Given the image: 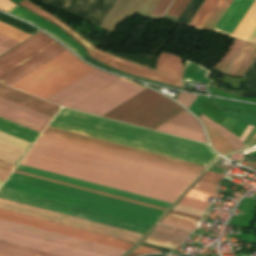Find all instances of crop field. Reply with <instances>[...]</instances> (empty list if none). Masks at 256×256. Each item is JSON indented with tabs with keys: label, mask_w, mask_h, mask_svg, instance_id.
Instances as JSON below:
<instances>
[{
	"label": "crop field",
	"mask_w": 256,
	"mask_h": 256,
	"mask_svg": "<svg viewBox=\"0 0 256 256\" xmlns=\"http://www.w3.org/2000/svg\"><path fill=\"white\" fill-rule=\"evenodd\" d=\"M49 127L206 166L217 157L207 145L62 108Z\"/></svg>",
	"instance_id": "8a807250"
},
{
	"label": "crop field",
	"mask_w": 256,
	"mask_h": 256,
	"mask_svg": "<svg viewBox=\"0 0 256 256\" xmlns=\"http://www.w3.org/2000/svg\"><path fill=\"white\" fill-rule=\"evenodd\" d=\"M0 198L44 208L47 210L91 220L94 222L130 230V231H134L142 234H144L147 231V229L151 226V225L123 219L120 217L92 211L89 209L65 204L62 202L34 196L31 194H27V193L15 191V190L3 188V187H1L0 189ZM4 199H0L1 209L17 212L20 214L44 219L47 221L75 227L78 229L102 234L105 236L129 241L133 243H136L143 236L142 234L94 223L91 221L47 211L44 209L12 202Z\"/></svg>",
	"instance_id": "ac0d7876"
},
{
	"label": "crop field",
	"mask_w": 256,
	"mask_h": 256,
	"mask_svg": "<svg viewBox=\"0 0 256 256\" xmlns=\"http://www.w3.org/2000/svg\"><path fill=\"white\" fill-rule=\"evenodd\" d=\"M27 156L182 194L190 181L36 142Z\"/></svg>",
	"instance_id": "34b2d1b8"
},
{
	"label": "crop field",
	"mask_w": 256,
	"mask_h": 256,
	"mask_svg": "<svg viewBox=\"0 0 256 256\" xmlns=\"http://www.w3.org/2000/svg\"><path fill=\"white\" fill-rule=\"evenodd\" d=\"M45 35L40 32L0 57L1 83L10 86L67 51Z\"/></svg>",
	"instance_id": "412701ff"
},
{
	"label": "crop field",
	"mask_w": 256,
	"mask_h": 256,
	"mask_svg": "<svg viewBox=\"0 0 256 256\" xmlns=\"http://www.w3.org/2000/svg\"><path fill=\"white\" fill-rule=\"evenodd\" d=\"M93 69L67 51L11 87L45 99Z\"/></svg>",
	"instance_id": "f4fd0767"
},
{
	"label": "crop field",
	"mask_w": 256,
	"mask_h": 256,
	"mask_svg": "<svg viewBox=\"0 0 256 256\" xmlns=\"http://www.w3.org/2000/svg\"><path fill=\"white\" fill-rule=\"evenodd\" d=\"M182 111L178 104L146 89L103 117L154 129Z\"/></svg>",
	"instance_id": "dd49c442"
},
{
	"label": "crop field",
	"mask_w": 256,
	"mask_h": 256,
	"mask_svg": "<svg viewBox=\"0 0 256 256\" xmlns=\"http://www.w3.org/2000/svg\"><path fill=\"white\" fill-rule=\"evenodd\" d=\"M21 165L167 201L180 195L25 156Z\"/></svg>",
	"instance_id": "e52e79f7"
},
{
	"label": "crop field",
	"mask_w": 256,
	"mask_h": 256,
	"mask_svg": "<svg viewBox=\"0 0 256 256\" xmlns=\"http://www.w3.org/2000/svg\"><path fill=\"white\" fill-rule=\"evenodd\" d=\"M38 142L66 148L69 150L97 156L100 158L128 164L131 166L159 172L162 174H166V175H170V176H174V177H178V178H182L190 181H192L198 175V173L150 162L147 160L95 148L92 146H88V145H84V144H80V143H76V142H72V141H68V140H64V139H60V138H56V137H52L44 134L40 136V138L38 139Z\"/></svg>",
	"instance_id": "d8731c3e"
},
{
	"label": "crop field",
	"mask_w": 256,
	"mask_h": 256,
	"mask_svg": "<svg viewBox=\"0 0 256 256\" xmlns=\"http://www.w3.org/2000/svg\"><path fill=\"white\" fill-rule=\"evenodd\" d=\"M29 10L37 13L38 15L48 19L49 21L61 26L64 30H66L71 36H73L78 42H80L87 50L88 54L109 66H112L120 71L127 72L138 77L174 85L181 87V81L176 80L174 78L168 77L166 75L157 73L155 71L149 70L147 68L141 67L139 65L130 63L128 61L122 60L120 58L114 57L112 55L106 54L94 48L91 44H89L86 40L80 37L77 33H75L72 29L68 26L60 22L58 19L53 17L52 15L48 14L47 12L43 11L42 9L38 8L37 6L33 5L32 3L28 2L27 0H23L18 3Z\"/></svg>",
	"instance_id": "5a996713"
},
{
	"label": "crop field",
	"mask_w": 256,
	"mask_h": 256,
	"mask_svg": "<svg viewBox=\"0 0 256 256\" xmlns=\"http://www.w3.org/2000/svg\"><path fill=\"white\" fill-rule=\"evenodd\" d=\"M8 180L33 186V187H37V188H41V189H45V190H49V191H53V192H57V193H61V194H65V195H69V196H73V197H77V198H81V199H85V200H89V201H93V202H97V203H101V204H105V205H109V206H113V207H117V208H121V209H125V210H129V211H133V212H137V213H141V214H145V215H149V216H153V217H157V218H159L163 213V211L132 204L129 202L117 200L114 198L98 195L95 193L83 191L80 189L64 186L61 184L49 182L46 180L30 177V176L15 173V172L12 173V175L9 177Z\"/></svg>",
	"instance_id": "3316defc"
},
{
	"label": "crop field",
	"mask_w": 256,
	"mask_h": 256,
	"mask_svg": "<svg viewBox=\"0 0 256 256\" xmlns=\"http://www.w3.org/2000/svg\"><path fill=\"white\" fill-rule=\"evenodd\" d=\"M144 89L146 88L121 78L72 109L101 116Z\"/></svg>",
	"instance_id": "28ad6ade"
},
{
	"label": "crop field",
	"mask_w": 256,
	"mask_h": 256,
	"mask_svg": "<svg viewBox=\"0 0 256 256\" xmlns=\"http://www.w3.org/2000/svg\"><path fill=\"white\" fill-rule=\"evenodd\" d=\"M119 78L95 69L46 100L71 108Z\"/></svg>",
	"instance_id": "d1516ede"
},
{
	"label": "crop field",
	"mask_w": 256,
	"mask_h": 256,
	"mask_svg": "<svg viewBox=\"0 0 256 256\" xmlns=\"http://www.w3.org/2000/svg\"><path fill=\"white\" fill-rule=\"evenodd\" d=\"M44 134H48V135H52V136H56V137H60V138L88 144V145H92L95 147H99V148L131 155V156L147 159L150 161H154V162H158V163H162V164H166V165H170V166H174V167H178V168H182V169H186V170H190V171H194V172H198V173H200L202 171V169L204 168V166H200V165H196V164H192V163H188V162H184V161H180V160H176V159H172V158H168V157H164V156H160V155H156V154H152V153H148V152H144V151H140V150H136V149H132V148H128L125 146H121V145H117V144H113V143L77 135V134H73V133H69V132H65V131H61V130H57V129H53V128H49V127H47V129L44 131Z\"/></svg>",
	"instance_id": "22f410ed"
},
{
	"label": "crop field",
	"mask_w": 256,
	"mask_h": 256,
	"mask_svg": "<svg viewBox=\"0 0 256 256\" xmlns=\"http://www.w3.org/2000/svg\"><path fill=\"white\" fill-rule=\"evenodd\" d=\"M0 228L16 231L19 233L35 236L38 238L54 241L57 243L73 246L76 248L96 252V253L107 255V256H122L127 252L126 250L54 233L51 231H47V230L19 224V223H15V222L3 220V219H0Z\"/></svg>",
	"instance_id": "cbeb9de0"
},
{
	"label": "crop field",
	"mask_w": 256,
	"mask_h": 256,
	"mask_svg": "<svg viewBox=\"0 0 256 256\" xmlns=\"http://www.w3.org/2000/svg\"><path fill=\"white\" fill-rule=\"evenodd\" d=\"M17 169H21V170H25V171H29V172H33V173L53 177V178H56V179H60V180H64V181H68V182H72V183L92 187V188H95V189H99V190H103V191H107V192L127 196V197H130V198H134V199H138V200H142V201H146V202H150V203H154V204H158V205H162V206H166V207H168L170 205V203H166V202H162V201H158V200H154V199L134 195V194H131V193H127V192H123V191H119V190H115V189L95 185V184H92V183H88V182H84V181H80V180H76V179H72V178H68V177H64V176H60V175H57V174H53V173H49V172H45V171H41V170H37V169L25 167V166H21V165H19L17 167ZM17 169H15V172H19V173L27 174V175H30V176L46 179V180H49V181L61 183V184H64V185L80 188V189H83V190L95 192V193H98V194L114 197V198H117V199L129 201V202H132V203L148 206V207L163 210V211L166 209V207H162V206H158V205H154V204H150V203L130 199V198H127V197H123V196H119V195H115V194H111V193L91 189V188H88V187H84V186H80V185H76V184H72V183H68V182H64V181H60V180H56V179H53V178H49V177H45V176H41V175L29 173V172L17 170Z\"/></svg>",
	"instance_id": "5142ce71"
},
{
	"label": "crop field",
	"mask_w": 256,
	"mask_h": 256,
	"mask_svg": "<svg viewBox=\"0 0 256 256\" xmlns=\"http://www.w3.org/2000/svg\"><path fill=\"white\" fill-rule=\"evenodd\" d=\"M0 218L128 250L133 243L47 222L0 209Z\"/></svg>",
	"instance_id": "d9b57169"
},
{
	"label": "crop field",
	"mask_w": 256,
	"mask_h": 256,
	"mask_svg": "<svg viewBox=\"0 0 256 256\" xmlns=\"http://www.w3.org/2000/svg\"><path fill=\"white\" fill-rule=\"evenodd\" d=\"M3 187L31 193L34 195L62 201L65 203L89 208L92 210L120 216L123 218L131 219V220H135V221H139V222H143V223H147V224H151V225H153L154 222L157 220L156 218H152V217H148V216H144V215H140V214H136V213H132V212H128V211H124V210H120V209H116V208H112V207H108V206H104V205H100V204H96V203H92V202H88V201H84V200H80V199H76V198H72V197H68V196H64V195H60V194H56V193H52V192L24 186V185L12 183V182H8V181L5 182Z\"/></svg>",
	"instance_id": "733c2abd"
},
{
	"label": "crop field",
	"mask_w": 256,
	"mask_h": 256,
	"mask_svg": "<svg viewBox=\"0 0 256 256\" xmlns=\"http://www.w3.org/2000/svg\"><path fill=\"white\" fill-rule=\"evenodd\" d=\"M0 240L61 256H103L4 229H0Z\"/></svg>",
	"instance_id": "4a817a6b"
},
{
	"label": "crop field",
	"mask_w": 256,
	"mask_h": 256,
	"mask_svg": "<svg viewBox=\"0 0 256 256\" xmlns=\"http://www.w3.org/2000/svg\"><path fill=\"white\" fill-rule=\"evenodd\" d=\"M0 117L40 133L51 120V117L49 116L43 115L1 98Z\"/></svg>",
	"instance_id": "bc2a9ffb"
},
{
	"label": "crop field",
	"mask_w": 256,
	"mask_h": 256,
	"mask_svg": "<svg viewBox=\"0 0 256 256\" xmlns=\"http://www.w3.org/2000/svg\"><path fill=\"white\" fill-rule=\"evenodd\" d=\"M160 0H118L111 10L101 28L112 32L115 25L136 12L150 17Z\"/></svg>",
	"instance_id": "214f88e0"
},
{
	"label": "crop field",
	"mask_w": 256,
	"mask_h": 256,
	"mask_svg": "<svg viewBox=\"0 0 256 256\" xmlns=\"http://www.w3.org/2000/svg\"><path fill=\"white\" fill-rule=\"evenodd\" d=\"M200 119L204 123V125H206L210 129H212L219 135L223 136L224 138L228 139L235 151L244 147L243 144L241 143V141L239 140V138L237 136H235L234 134L230 133L229 131L222 128L221 126L214 123L213 121H211L210 119L206 118L203 115L200 116ZM206 126H205V128L207 130L210 142H211L212 146L214 147V149L218 153L224 154V153L233 152V149L228 140L219 136L218 134H216L215 132H213L212 130L207 128Z\"/></svg>",
	"instance_id": "92a150f3"
},
{
	"label": "crop field",
	"mask_w": 256,
	"mask_h": 256,
	"mask_svg": "<svg viewBox=\"0 0 256 256\" xmlns=\"http://www.w3.org/2000/svg\"><path fill=\"white\" fill-rule=\"evenodd\" d=\"M0 97L51 117H53L60 108L56 105L50 104L1 84Z\"/></svg>",
	"instance_id": "dafd665d"
},
{
	"label": "crop field",
	"mask_w": 256,
	"mask_h": 256,
	"mask_svg": "<svg viewBox=\"0 0 256 256\" xmlns=\"http://www.w3.org/2000/svg\"><path fill=\"white\" fill-rule=\"evenodd\" d=\"M9 12L18 17L26 19L29 22L45 29L50 34H52L54 37L58 38L59 40L63 41L65 44H67L70 48H72L81 57L85 56L83 49L78 44H76L73 40H71L68 36H66L63 32H61L58 28H56L52 24L38 18L37 16L27 12L26 10H24L18 6L14 7Z\"/></svg>",
	"instance_id": "00972430"
},
{
	"label": "crop field",
	"mask_w": 256,
	"mask_h": 256,
	"mask_svg": "<svg viewBox=\"0 0 256 256\" xmlns=\"http://www.w3.org/2000/svg\"><path fill=\"white\" fill-rule=\"evenodd\" d=\"M253 2L254 0H234L215 29L232 33Z\"/></svg>",
	"instance_id": "a9b5d70f"
},
{
	"label": "crop field",
	"mask_w": 256,
	"mask_h": 256,
	"mask_svg": "<svg viewBox=\"0 0 256 256\" xmlns=\"http://www.w3.org/2000/svg\"><path fill=\"white\" fill-rule=\"evenodd\" d=\"M256 57V44L248 43L237 56L236 60L227 72L228 75L243 77Z\"/></svg>",
	"instance_id": "4177f3b9"
},
{
	"label": "crop field",
	"mask_w": 256,
	"mask_h": 256,
	"mask_svg": "<svg viewBox=\"0 0 256 256\" xmlns=\"http://www.w3.org/2000/svg\"><path fill=\"white\" fill-rule=\"evenodd\" d=\"M156 70L181 79L183 59L175 54L162 51L158 57Z\"/></svg>",
	"instance_id": "730fd06b"
},
{
	"label": "crop field",
	"mask_w": 256,
	"mask_h": 256,
	"mask_svg": "<svg viewBox=\"0 0 256 256\" xmlns=\"http://www.w3.org/2000/svg\"><path fill=\"white\" fill-rule=\"evenodd\" d=\"M26 128L0 118V131L33 143L35 139L39 136L40 132L37 133Z\"/></svg>",
	"instance_id": "eef30255"
},
{
	"label": "crop field",
	"mask_w": 256,
	"mask_h": 256,
	"mask_svg": "<svg viewBox=\"0 0 256 256\" xmlns=\"http://www.w3.org/2000/svg\"><path fill=\"white\" fill-rule=\"evenodd\" d=\"M209 73L210 71L202 68L201 65L187 60L184 81L195 83L201 82L209 85L213 82V80L206 77Z\"/></svg>",
	"instance_id": "ae1a2a85"
},
{
	"label": "crop field",
	"mask_w": 256,
	"mask_h": 256,
	"mask_svg": "<svg viewBox=\"0 0 256 256\" xmlns=\"http://www.w3.org/2000/svg\"><path fill=\"white\" fill-rule=\"evenodd\" d=\"M256 27V1L247 12L232 36L247 40L253 29ZM255 30V29H254Z\"/></svg>",
	"instance_id": "d3111659"
},
{
	"label": "crop field",
	"mask_w": 256,
	"mask_h": 256,
	"mask_svg": "<svg viewBox=\"0 0 256 256\" xmlns=\"http://www.w3.org/2000/svg\"><path fill=\"white\" fill-rule=\"evenodd\" d=\"M0 256H57L0 241Z\"/></svg>",
	"instance_id": "750c4746"
},
{
	"label": "crop field",
	"mask_w": 256,
	"mask_h": 256,
	"mask_svg": "<svg viewBox=\"0 0 256 256\" xmlns=\"http://www.w3.org/2000/svg\"><path fill=\"white\" fill-rule=\"evenodd\" d=\"M245 44V41L234 39L231 45L229 46L228 50L222 57V59L217 63V65L214 67V69L226 74L229 67L235 60L236 56L242 49L243 45Z\"/></svg>",
	"instance_id": "bd1437ed"
},
{
	"label": "crop field",
	"mask_w": 256,
	"mask_h": 256,
	"mask_svg": "<svg viewBox=\"0 0 256 256\" xmlns=\"http://www.w3.org/2000/svg\"><path fill=\"white\" fill-rule=\"evenodd\" d=\"M155 130H159V131H163V132H167V133H171L174 135H178V136H182V137H186L189 139L207 143L205 140L204 133L201 131L184 128V127H180V126H176V125H172V124H168V123H165V124L159 126Z\"/></svg>",
	"instance_id": "1d83c4d3"
},
{
	"label": "crop field",
	"mask_w": 256,
	"mask_h": 256,
	"mask_svg": "<svg viewBox=\"0 0 256 256\" xmlns=\"http://www.w3.org/2000/svg\"><path fill=\"white\" fill-rule=\"evenodd\" d=\"M188 234L190 233L157 225L149 236L181 244Z\"/></svg>",
	"instance_id": "120bbe31"
},
{
	"label": "crop field",
	"mask_w": 256,
	"mask_h": 256,
	"mask_svg": "<svg viewBox=\"0 0 256 256\" xmlns=\"http://www.w3.org/2000/svg\"><path fill=\"white\" fill-rule=\"evenodd\" d=\"M218 2L219 0H205L189 22V25L201 28Z\"/></svg>",
	"instance_id": "d32e631a"
},
{
	"label": "crop field",
	"mask_w": 256,
	"mask_h": 256,
	"mask_svg": "<svg viewBox=\"0 0 256 256\" xmlns=\"http://www.w3.org/2000/svg\"><path fill=\"white\" fill-rule=\"evenodd\" d=\"M231 2L232 0H221L217 7L212 12V14L209 16L205 24L202 26V29L212 30L217 24V22L220 20V18L222 17V15L224 14V12L226 11Z\"/></svg>",
	"instance_id": "5866460e"
},
{
	"label": "crop field",
	"mask_w": 256,
	"mask_h": 256,
	"mask_svg": "<svg viewBox=\"0 0 256 256\" xmlns=\"http://www.w3.org/2000/svg\"><path fill=\"white\" fill-rule=\"evenodd\" d=\"M168 123H172V124L185 126V127L203 131L201 126L199 125L197 119L192 117L189 113H187L185 111L182 112L181 114L177 115L173 119L169 120Z\"/></svg>",
	"instance_id": "028f5c9d"
},
{
	"label": "crop field",
	"mask_w": 256,
	"mask_h": 256,
	"mask_svg": "<svg viewBox=\"0 0 256 256\" xmlns=\"http://www.w3.org/2000/svg\"><path fill=\"white\" fill-rule=\"evenodd\" d=\"M204 0H191L185 11L182 13L180 18L178 19V22L186 23L190 21V19L193 17L199 6L202 4Z\"/></svg>",
	"instance_id": "e1f06a70"
},
{
	"label": "crop field",
	"mask_w": 256,
	"mask_h": 256,
	"mask_svg": "<svg viewBox=\"0 0 256 256\" xmlns=\"http://www.w3.org/2000/svg\"><path fill=\"white\" fill-rule=\"evenodd\" d=\"M0 32L4 33L20 42L30 36L22 31L15 29V28H13L7 24H4L2 22H0Z\"/></svg>",
	"instance_id": "0bd39190"
},
{
	"label": "crop field",
	"mask_w": 256,
	"mask_h": 256,
	"mask_svg": "<svg viewBox=\"0 0 256 256\" xmlns=\"http://www.w3.org/2000/svg\"><path fill=\"white\" fill-rule=\"evenodd\" d=\"M164 220L173 222V223H177V224L194 227V228H195L196 221H197L195 219H191V218H187V217H183V216H179V215H175V214H171V213H168L167 216L164 218Z\"/></svg>",
	"instance_id": "b80d0937"
},
{
	"label": "crop field",
	"mask_w": 256,
	"mask_h": 256,
	"mask_svg": "<svg viewBox=\"0 0 256 256\" xmlns=\"http://www.w3.org/2000/svg\"><path fill=\"white\" fill-rule=\"evenodd\" d=\"M178 204L188 206V207L198 208L202 210H205L210 205L209 203H204V202L196 201V200L185 198V197H183V199Z\"/></svg>",
	"instance_id": "c035e120"
},
{
	"label": "crop field",
	"mask_w": 256,
	"mask_h": 256,
	"mask_svg": "<svg viewBox=\"0 0 256 256\" xmlns=\"http://www.w3.org/2000/svg\"><path fill=\"white\" fill-rule=\"evenodd\" d=\"M14 168L15 165L0 160V181L4 182Z\"/></svg>",
	"instance_id": "c21b1889"
},
{
	"label": "crop field",
	"mask_w": 256,
	"mask_h": 256,
	"mask_svg": "<svg viewBox=\"0 0 256 256\" xmlns=\"http://www.w3.org/2000/svg\"><path fill=\"white\" fill-rule=\"evenodd\" d=\"M144 243L156 245V246L171 249V250L179 246L178 244H174V243H170V242H166V241H162V240H158L150 237H147Z\"/></svg>",
	"instance_id": "03da06ac"
},
{
	"label": "crop field",
	"mask_w": 256,
	"mask_h": 256,
	"mask_svg": "<svg viewBox=\"0 0 256 256\" xmlns=\"http://www.w3.org/2000/svg\"><path fill=\"white\" fill-rule=\"evenodd\" d=\"M244 77V76H243ZM245 77H248V87L256 88V59L252 63Z\"/></svg>",
	"instance_id": "b54c1fbb"
},
{
	"label": "crop field",
	"mask_w": 256,
	"mask_h": 256,
	"mask_svg": "<svg viewBox=\"0 0 256 256\" xmlns=\"http://www.w3.org/2000/svg\"><path fill=\"white\" fill-rule=\"evenodd\" d=\"M192 188L201 190V191L214 193V194L217 193V185L206 183V182L198 181Z\"/></svg>",
	"instance_id": "5d738f31"
},
{
	"label": "crop field",
	"mask_w": 256,
	"mask_h": 256,
	"mask_svg": "<svg viewBox=\"0 0 256 256\" xmlns=\"http://www.w3.org/2000/svg\"><path fill=\"white\" fill-rule=\"evenodd\" d=\"M196 98V95L180 92L176 100L189 109Z\"/></svg>",
	"instance_id": "d23c7cc5"
},
{
	"label": "crop field",
	"mask_w": 256,
	"mask_h": 256,
	"mask_svg": "<svg viewBox=\"0 0 256 256\" xmlns=\"http://www.w3.org/2000/svg\"><path fill=\"white\" fill-rule=\"evenodd\" d=\"M208 196L215 197L216 195L206 193V192H201L197 190L190 189V191L185 195V197L201 200V201H206Z\"/></svg>",
	"instance_id": "425ffa30"
},
{
	"label": "crop field",
	"mask_w": 256,
	"mask_h": 256,
	"mask_svg": "<svg viewBox=\"0 0 256 256\" xmlns=\"http://www.w3.org/2000/svg\"><path fill=\"white\" fill-rule=\"evenodd\" d=\"M223 176V174L207 171L200 180L218 184L219 181L223 178Z\"/></svg>",
	"instance_id": "25e5ab78"
},
{
	"label": "crop field",
	"mask_w": 256,
	"mask_h": 256,
	"mask_svg": "<svg viewBox=\"0 0 256 256\" xmlns=\"http://www.w3.org/2000/svg\"><path fill=\"white\" fill-rule=\"evenodd\" d=\"M228 114L239 118L241 120L247 121L249 123L255 124L256 125V116L254 115H249V114H245V113H238V112H229L226 111Z\"/></svg>",
	"instance_id": "73cf0c24"
},
{
	"label": "crop field",
	"mask_w": 256,
	"mask_h": 256,
	"mask_svg": "<svg viewBox=\"0 0 256 256\" xmlns=\"http://www.w3.org/2000/svg\"><path fill=\"white\" fill-rule=\"evenodd\" d=\"M189 1L190 0H180L177 6L172 11V13L170 14V17L178 19V17L183 12Z\"/></svg>",
	"instance_id": "89e229c0"
},
{
	"label": "crop field",
	"mask_w": 256,
	"mask_h": 256,
	"mask_svg": "<svg viewBox=\"0 0 256 256\" xmlns=\"http://www.w3.org/2000/svg\"><path fill=\"white\" fill-rule=\"evenodd\" d=\"M18 43L19 42L0 33V45L1 46L10 49V48L14 47L15 45H17Z\"/></svg>",
	"instance_id": "1f2cbd36"
},
{
	"label": "crop field",
	"mask_w": 256,
	"mask_h": 256,
	"mask_svg": "<svg viewBox=\"0 0 256 256\" xmlns=\"http://www.w3.org/2000/svg\"><path fill=\"white\" fill-rule=\"evenodd\" d=\"M172 2V0H161L153 14L157 15H163L166 8L169 6V4ZM168 9V8H167Z\"/></svg>",
	"instance_id": "dbb93151"
},
{
	"label": "crop field",
	"mask_w": 256,
	"mask_h": 256,
	"mask_svg": "<svg viewBox=\"0 0 256 256\" xmlns=\"http://www.w3.org/2000/svg\"><path fill=\"white\" fill-rule=\"evenodd\" d=\"M14 6L16 5L12 4L9 0H0V9L6 12L13 8Z\"/></svg>",
	"instance_id": "0fb4a251"
},
{
	"label": "crop field",
	"mask_w": 256,
	"mask_h": 256,
	"mask_svg": "<svg viewBox=\"0 0 256 256\" xmlns=\"http://www.w3.org/2000/svg\"><path fill=\"white\" fill-rule=\"evenodd\" d=\"M133 252L135 253H141V254H147V253H151V252H158L154 249H151V248H146V247H142V246H139L137 249H135Z\"/></svg>",
	"instance_id": "1d79db26"
},
{
	"label": "crop field",
	"mask_w": 256,
	"mask_h": 256,
	"mask_svg": "<svg viewBox=\"0 0 256 256\" xmlns=\"http://www.w3.org/2000/svg\"><path fill=\"white\" fill-rule=\"evenodd\" d=\"M160 223L165 224V225H169V226H173V227H177V228H181V229H185V230H189V231H194L195 230L193 228H189V227H185V226H181V225H177V224H173V223H169V222H165V221H162Z\"/></svg>",
	"instance_id": "9d1cf04e"
},
{
	"label": "crop field",
	"mask_w": 256,
	"mask_h": 256,
	"mask_svg": "<svg viewBox=\"0 0 256 256\" xmlns=\"http://www.w3.org/2000/svg\"><path fill=\"white\" fill-rule=\"evenodd\" d=\"M252 128H253V126L248 125V127L246 128V130L243 132V134L240 137L242 142L246 138V136L249 134V132L252 130Z\"/></svg>",
	"instance_id": "447ae74e"
},
{
	"label": "crop field",
	"mask_w": 256,
	"mask_h": 256,
	"mask_svg": "<svg viewBox=\"0 0 256 256\" xmlns=\"http://www.w3.org/2000/svg\"><path fill=\"white\" fill-rule=\"evenodd\" d=\"M222 159H223V158H222ZM222 159H220V160H218L217 162H215V164H214L213 166H217V167H221V168L230 170L233 166H220Z\"/></svg>",
	"instance_id": "0765c3eb"
},
{
	"label": "crop field",
	"mask_w": 256,
	"mask_h": 256,
	"mask_svg": "<svg viewBox=\"0 0 256 256\" xmlns=\"http://www.w3.org/2000/svg\"><path fill=\"white\" fill-rule=\"evenodd\" d=\"M179 0H175L172 5L170 6V8L168 9V11L165 13L166 16H169V14L171 13V11L173 10V8L176 6V4L178 3Z\"/></svg>",
	"instance_id": "db79e9e6"
},
{
	"label": "crop field",
	"mask_w": 256,
	"mask_h": 256,
	"mask_svg": "<svg viewBox=\"0 0 256 256\" xmlns=\"http://www.w3.org/2000/svg\"><path fill=\"white\" fill-rule=\"evenodd\" d=\"M246 167H249V168H252V169H256V163H253V162H248L247 164H246Z\"/></svg>",
	"instance_id": "7b73153f"
},
{
	"label": "crop field",
	"mask_w": 256,
	"mask_h": 256,
	"mask_svg": "<svg viewBox=\"0 0 256 256\" xmlns=\"http://www.w3.org/2000/svg\"><path fill=\"white\" fill-rule=\"evenodd\" d=\"M171 213H175V214H179V215H183V216H187V217H191V218H195V219H201L199 217H195V216H191V215H186V214H182V213H178V212H174V211H171Z\"/></svg>",
	"instance_id": "78b8030e"
},
{
	"label": "crop field",
	"mask_w": 256,
	"mask_h": 256,
	"mask_svg": "<svg viewBox=\"0 0 256 256\" xmlns=\"http://www.w3.org/2000/svg\"><path fill=\"white\" fill-rule=\"evenodd\" d=\"M7 50H8V49L3 48V47L0 46V55H1L2 53H4L5 51H7Z\"/></svg>",
	"instance_id": "0f1d7ab4"
},
{
	"label": "crop field",
	"mask_w": 256,
	"mask_h": 256,
	"mask_svg": "<svg viewBox=\"0 0 256 256\" xmlns=\"http://www.w3.org/2000/svg\"><path fill=\"white\" fill-rule=\"evenodd\" d=\"M140 254H134V253H131L129 254L128 256H139Z\"/></svg>",
	"instance_id": "e1d0b9f6"
},
{
	"label": "crop field",
	"mask_w": 256,
	"mask_h": 256,
	"mask_svg": "<svg viewBox=\"0 0 256 256\" xmlns=\"http://www.w3.org/2000/svg\"><path fill=\"white\" fill-rule=\"evenodd\" d=\"M2 182H0V186H1Z\"/></svg>",
	"instance_id": "ae633e8c"
}]
</instances>
